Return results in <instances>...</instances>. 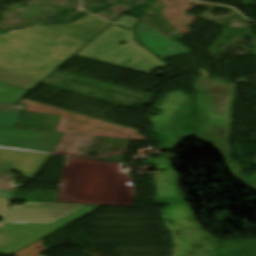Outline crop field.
I'll use <instances>...</instances> for the list:
<instances>
[{
	"instance_id": "1",
	"label": "crop field",
	"mask_w": 256,
	"mask_h": 256,
	"mask_svg": "<svg viewBox=\"0 0 256 256\" xmlns=\"http://www.w3.org/2000/svg\"><path fill=\"white\" fill-rule=\"evenodd\" d=\"M87 43L39 25L0 34V81L30 91Z\"/></svg>"
},
{
	"instance_id": "2",
	"label": "crop field",
	"mask_w": 256,
	"mask_h": 256,
	"mask_svg": "<svg viewBox=\"0 0 256 256\" xmlns=\"http://www.w3.org/2000/svg\"><path fill=\"white\" fill-rule=\"evenodd\" d=\"M138 22L136 18L122 16L92 40L76 56L139 71L152 76H159L149 72L156 68L167 67V65L151 52L141 47L134 40L132 30L115 26V24H118L126 28H133ZM121 41H126L127 43L119 45L118 43Z\"/></svg>"
},
{
	"instance_id": "3",
	"label": "crop field",
	"mask_w": 256,
	"mask_h": 256,
	"mask_svg": "<svg viewBox=\"0 0 256 256\" xmlns=\"http://www.w3.org/2000/svg\"><path fill=\"white\" fill-rule=\"evenodd\" d=\"M92 209L86 205L52 224H5L0 228V254L9 255L65 226V223Z\"/></svg>"
},
{
	"instance_id": "4",
	"label": "crop field",
	"mask_w": 256,
	"mask_h": 256,
	"mask_svg": "<svg viewBox=\"0 0 256 256\" xmlns=\"http://www.w3.org/2000/svg\"><path fill=\"white\" fill-rule=\"evenodd\" d=\"M136 33L139 41L164 60L191 52L142 22L136 27Z\"/></svg>"
},
{
	"instance_id": "5",
	"label": "crop field",
	"mask_w": 256,
	"mask_h": 256,
	"mask_svg": "<svg viewBox=\"0 0 256 256\" xmlns=\"http://www.w3.org/2000/svg\"><path fill=\"white\" fill-rule=\"evenodd\" d=\"M110 24L111 23L89 14L74 23L66 25H39L90 41Z\"/></svg>"
},
{
	"instance_id": "6",
	"label": "crop field",
	"mask_w": 256,
	"mask_h": 256,
	"mask_svg": "<svg viewBox=\"0 0 256 256\" xmlns=\"http://www.w3.org/2000/svg\"><path fill=\"white\" fill-rule=\"evenodd\" d=\"M61 135L38 132L34 141L0 137V147L52 153Z\"/></svg>"
},
{
	"instance_id": "7",
	"label": "crop field",
	"mask_w": 256,
	"mask_h": 256,
	"mask_svg": "<svg viewBox=\"0 0 256 256\" xmlns=\"http://www.w3.org/2000/svg\"><path fill=\"white\" fill-rule=\"evenodd\" d=\"M62 116L24 112L17 127L55 132Z\"/></svg>"
},
{
	"instance_id": "8",
	"label": "crop field",
	"mask_w": 256,
	"mask_h": 256,
	"mask_svg": "<svg viewBox=\"0 0 256 256\" xmlns=\"http://www.w3.org/2000/svg\"><path fill=\"white\" fill-rule=\"evenodd\" d=\"M8 89H5V88ZM28 92L0 82V103L14 104Z\"/></svg>"
},
{
	"instance_id": "9",
	"label": "crop field",
	"mask_w": 256,
	"mask_h": 256,
	"mask_svg": "<svg viewBox=\"0 0 256 256\" xmlns=\"http://www.w3.org/2000/svg\"><path fill=\"white\" fill-rule=\"evenodd\" d=\"M37 132L0 128L1 137L19 138L33 140Z\"/></svg>"
},
{
	"instance_id": "10",
	"label": "crop field",
	"mask_w": 256,
	"mask_h": 256,
	"mask_svg": "<svg viewBox=\"0 0 256 256\" xmlns=\"http://www.w3.org/2000/svg\"><path fill=\"white\" fill-rule=\"evenodd\" d=\"M20 114L0 112V126L14 127Z\"/></svg>"
},
{
	"instance_id": "11",
	"label": "crop field",
	"mask_w": 256,
	"mask_h": 256,
	"mask_svg": "<svg viewBox=\"0 0 256 256\" xmlns=\"http://www.w3.org/2000/svg\"><path fill=\"white\" fill-rule=\"evenodd\" d=\"M24 109L23 106L0 104V111L22 113Z\"/></svg>"
},
{
	"instance_id": "12",
	"label": "crop field",
	"mask_w": 256,
	"mask_h": 256,
	"mask_svg": "<svg viewBox=\"0 0 256 256\" xmlns=\"http://www.w3.org/2000/svg\"><path fill=\"white\" fill-rule=\"evenodd\" d=\"M12 169L11 166L0 165V172ZM0 198L15 199L14 192L0 191Z\"/></svg>"
},
{
	"instance_id": "13",
	"label": "crop field",
	"mask_w": 256,
	"mask_h": 256,
	"mask_svg": "<svg viewBox=\"0 0 256 256\" xmlns=\"http://www.w3.org/2000/svg\"><path fill=\"white\" fill-rule=\"evenodd\" d=\"M252 165H256V156L254 157L253 161L251 162Z\"/></svg>"
}]
</instances>
